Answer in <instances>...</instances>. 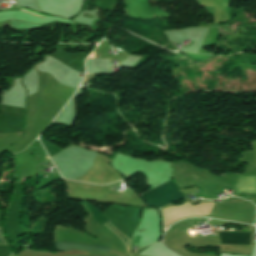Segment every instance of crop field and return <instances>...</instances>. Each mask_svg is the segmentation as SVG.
Listing matches in <instances>:
<instances>
[{
  "instance_id": "obj_1",
  "label": "crop field",
  "mask_w": 256,
  "mask_h": 256,
  "mask_svg": "<svg viewBox=\"0 0 256 256\" xmlns=\"http://www.w3.org/2000/svg\"><path fill=\"white\" fill-rule=\"evenodd\" d=\"M149 206L163 207L183 198L172 180L141 195Z\"/></svg>"
},
{
  "instance_id": "obj_2",
  "label": "crop field",
  "mask_w": 256,
  "mask_h": 256,
  "mask_svg": "<svg viewBox=\"0 0 256 256\" xmlns=\"http://www.w3.org/2000/svg\"><path fill=\"white\" fill-rule=\"evenodd\" d=\"M58 251H65L69 249L84 250V251H98V252H111L112 248L96 245L72 244L55 242Z\"/></svg>"
},
{
  "instance_id": "obj_3",
  "label": "crop field",
  "mask_w": 256,
  "mask_h": 256,
  "mask_svg": "<svg viewBox=\"0 0 256 256\" xmlns=\"http://www.w3.org/2000/svg\"><path fill=\"white\" fill-rule=\"evenodd\" d=\"M223 243L249 244L250 233L218 232Z\"/></svg>"
},
{
  "instance_id": "obj_4",
  "label": "crop field",
  "mask_w": 256,
  "mask_h": 256,
  "mask_svg": "<svg viewBox=\"0 0 256 256\" xmlns=\"http://www.w3.org/2000/svg\"><path fill=\"white\" fill-rule=\"evenodd\" d=\"M0 245H6V243L3 239L2 233H1V229H0Z\"/></svg>"
},
{
  "instance_id": "obj_5",
  "label": "crop field",
  "mask_w": 256,
  "mask_h": 256,
  "mask_svg": "<svg viewBox=\"0 0 256 256\" xmlns=\"http://www.w3.org/2000/svg\"><path fill=\"white\" fill-rule=\"evenodd\" d=\"M178 218L172 219L170 221H168L167 223H165V226H167L168 224L172 223L173 221L177 220Z\"/></svg>"
},
{
  "instance_id": "obj_6",
  "label": "crop field",
  "mask_w": 256,
  "mask_h": 256,
  "mask_svg": "<svg viewBox=\"0 0 256 256\" xmlns=\"http://www.w3.org/2000/svg\"><path fill=\"white\" fill-rule=\"evenodd\" d=\"M22 11V10H21ZM25 12V11H24ZM28 13V12H27ZM39 16V15H38Z\"/></svg>"
}]
</instances>
